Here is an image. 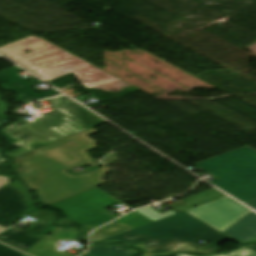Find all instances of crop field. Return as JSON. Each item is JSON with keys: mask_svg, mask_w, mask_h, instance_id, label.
Wrapping results in <instances>:
<instances>
[{"mask_svg": "<svg viewBox=\"0 0 256 256\" xmlns=\"http://www.w3.org/2000/svg\"><path fill=\"white\" fill-rule=\"evenodd\" d=\"M99 132L92 128L14 159L13 168L30 190L36 189L44 206L105 184L103 167L84 175L66 171L95 163L86 151L97 148L88 136Z\"/></svg>", "mask_w": 256, "mask_h": 256, "instance_id": "8a807250", "label": "crop field"}, {"mask_svg": "<svg viewBox=\"0 0 256 256\" xmlns=\"http://www.w3.org/2000/svg\"><path fill=\"white\" fill-rule=\"evenodd\" d=\"M228 239L231 238L184 211L100 242L123 241L145 251L143 256H161L217 253V244ZM200 241L212 244L207 248L195 245Z\"/></svg>", "mask_w": 256, "mask_h": 256, "instance_id": "ac0d7876", "label": "crop field"}, {"mask_svg": "<svg viewBox=\"0 0 256 256\" xmlns=\"http://www.w3.org/2000/svg\"><path fill=\"white\" fill-rule=\"evenodd\" d=\"M56 112L44 115L40 120L27 124L20 120L3 131L18 140L13 145L22 149L9 153L14 158L52 142L75 135L91 127L106 123L65 96L49 99ZM92 129V128H91Z\"/></svg>", "mask_w": 256, "mask_h": 256, "instance_id": "34b2d1b8", "label": "crop field"}, {"mask_svg": "<svg viewBox=\"0 0 256 256\" xmlns=\"http://www.w3.org/2000/svg\"><path fill=\"white\" fill-rule=\"evenodd\" d=\"M220 170L211 172L219 179L210 181L245 202L256 198V151L246 147L202 161Z\"/></svg>", "mask_w": 256, "mask_h": 256, "instance_id": "412701ff", "label": "crop field"}, {"mask_svg": "<svg viewBox=\"0 0 256 256\" xmlns=\"http://www.w3.org/2000/svg\"><path fill=\"white\" fill-rule=\"evenodd\" d=\"M117 202L115 198L95 188L49 205V207L62 210L65 213L67 218L58 220V224L79 223L85 225L81 228L84 231L82 239L87 240L88 232L91 229L117 218L103 210Z\"/></svg>", "mask_w": 256, "mask_h": 256, "instance_id": "f4fd0767", "label": "crop field"}, {"mask_svg": "<svg viewBox=\"0 0 256 256\" xmlns=\"http://www.w3.org/2000/svg\"><path fill=\"white\" fill-rule=\"evenodd\" d=\"M249 211L251 210L227 197L187 212L222 232Z\"/></svg>", "mask_w": 256, "mask_h": 256, "instance_id": "dd49c442", "label": "crop field"}, {"mask_svg": "<svg viewBox=\"0 0 256 256\" xmlns=\"http://www.w3.org/2000/svg\"><path fill=\"white\" fill-rule=\"evenodd\" d=\"M43 221L24 231L16 226L0 234V241L26 252L45 235L32 236L33 233L44 230L54 219L55 215L46 211H36L29 215Z\"/></svg>", "mask_w": 256, "mask_h": 256, "instance_id": "e52e79f7", "label": "crop field"}, {"mask_svg": "<svg viewBox=\"0 0 256 256\" xmlns=\"http://www.w3.org/2000/svg\"><path fill=\"white\" fill-rule=\"evenodd\" d=\"M31 198L21 182L14 180L0 189V216L15 222V219L29 209Z\"/></svg>", "mask_w": 256, "mask_h": 256, "instance_id": "d8731c3e", "label": "crop field"}, {"mask_svg": "<svg viewBox=\"0 0 256 256\" xmlns=\"http://www.w3.org/2000/svg\"><path fill=\"white\" fill-rule=\"evenodd\" d=\"M19 69L21 68L16 66L0 72V80L7 82V84L4 85V88L12 90L18 94V97L16 98L17 102L30 103L61 94L60 92L54 89L45 91L41 94L34 93L32 90L29 89L33 85L14 72Z\"/></svg>", "mask_w": 256, "mask_h": 256, "instance_id": "5a996713", "label": "crop field"}, {"mask_svg": "<svg viewBox=\"0 0 256 256\" xmlns=\"http://www.w3.org/2000/svg\"><path fill=\"white\" fill-rule=\"evenodd\" d=\"M53 236H45L36 245H34L27 253L34 256H73L65 252L56 251V243L63 239H73L79 234L75 228H56Z\"/></svg>", "mask_w": 256, "mask_h": 256, "instance_id": "3316defc", "label": "crop field"}, {"mask_svg": "<svg viewBox=\"0 0 256 256\" xmlns=\"http://www.w3.org/2000/svg\"><path fill=\"white\" fill-rule=\"evenodd\" d=\"M154 221L146 218L145 216L133 212L132 214L116 221L115 223L93 233L92 240L100 241L104 238L152 223Z\"/></svg>", "mask_w": 256, "mask_h": 256, "instance_id": "28ad6ade", "label": "crop field"}, {"mask_svg": "<svg viewBox=\"0 0 256 256\" xmlns=\"http://www.w3.org/2000/svg\"><path fill=\"white\" fill-rule=\"evenodd\" d=\"M223 233L241 244L256 240V214L250 213Z\"/></svg>", "mask_w": 256, "mask_h": 256, "instance_id": "d1516ede", "label": "crop field"}, {"mask_svg": "<svg viewBox=\"0 0 256 256\" xmlns=\"http://www.w3.org/2000/svg\"><path fill=\"white\" fill-rule=\"evenodd\" d=\"M224 197H227V196L225 194H223L222 192L218 191L217 189L213 188L208 191L199 193L197 195H194L187 199L182 200L186 204L181 205L176 208H173V209L178 212H181L184 210L187 211V210H190V209L196 208L198 206L216 201V200L224 198Z\"/></svg>", "mask_w": 256, "mask_h": 256, "instance_id": "22f410ed", "label": "crop field"}, {"mask_svg": "<svg viewBox=\"0 0 256 256\" xmlns=\"http://www.w3.org/2000/svg\"><path fill=\"white\" fill-rule=\"evenodd\" d=\"M133 253L137 252L121 245H113L108 248L93 247L92 250L84 256H129Z\"/></svg>", "mask_w": 256, "mask_h": 256, "instance_id": "cbeb9de0", "label": "crop field"}, {"mask_svg": "<svg viewBox=\"0 0 256 256\" xmlns=\"http://www.w3.org/2000/svg\"><path fill=\"white\" fill-rule=\"evenodd\" d=\"M254 253V251L250 250L249 248L245 247V246H240V249L224 255V254H220V255H212V256H247L249 254ZM176 256H188V255H184V254H180V255H176Z\"/></svg>", "mask_w": 256, "mask_h": 256, "instance_id": "5142ce71", "label": "crop field"}, {"mask_svg": "<svg viewBox=\"0 0 256 256\" xmlns=\"http://www.w3.org/2000/svg\"><path fill=\"white\" fill-rule=\"evenodd\" d=\"M0 256H24V254L0 244Z\"/></svg>", "mask_w": 256, "mask_h": 256, "instance_id": "d9b57169", "label": "crop field"}, {"mask_svg": "<svg viewBox=\"0 0 256 256\" xmlns=\"http://www.w3.org/2000/svg\"><path fill=\"white\" fill-rule=\"evenodd\" d=\"M195 165H197V166H199V167H201V168L207 170L208 172H211V171H214V170H218V169H216V168H214V167H211V166H209V165H206V164H204V163H202V162H199V163H197V164H195Z\"/></svg>", "mask_w": 256, "mask_h": 256, "instance_id": "733c2abd", "label": "crop field"}, {"mask_svg": "<svg viewBox=\"0 0 256 256\" xmlns=\"http://www.w3.org/2000/svg\"><path fill=\"white\" fill-rule=\"evenodd\" d=\"M14 224H15V223H13V222H11V221H8V220L3 219V218L0 217V225H1V226L5 227V228H8V227H10V226H12V225H14Z\"/></svg>", "mask_w": 256, "mask_h": 256, "instance_id": "4a817a6b", "label": "crop field"}, {"mask_svg": "<svg viewBox=\"0 0 256 256\" xmlns=\"http://www.w3.org/2000/svg\"><path fill=\"white\" fill-rule=\"evenodd\" d=\"M11 180L7 177L0 176V188L5 186L7 183H9Z\"/></svg>", "mask_w": 256, "mask_h": 256, "instance_id": "bc2a9ffb", "label": "crop field"}, {"mask_svg": "<svg viewBox=\"0 0 256 256\" xmlns=\"http://www.w3.org/2000/svg\"><path fill=\"white\" fill-rule=\"evenodd\" d=\"M246 204H248L249 206H251L252 208L256 209V200H252L249 202H245Z\"/></svg>", "mask_w": 256, "mask_h": 256, "instance_id": "214f88e0", "label": "crop field"}, {"mask_svg": "<svg viewBox=\"0 0 256 256\" xmlns=\"http://www.w3.org/2000/svg\"><path fill=\"white\" fill-rule=\"evenodd\" d=\"M247 247L251 248L252 250L256 251V243L249 244Z\"/></svg>", "mask_w": 256, "mask_h": 256, "instance_id": "92a150f3", "label": "crop field"}, {"mask_svg": "<svg viewBox=\"0 0 256 256\" xmlns=\"http://www.w3.org/2000/svg\"><path fill=\"white\" fill-rule=\"evenodd\" d=\"M181 204H184V203L181 202V201H179V202H177V203H174V204L169 205V207L173 208V207H176V206L181 205Z\"/></svg>", "mask_w": 256, "mask_h": 256, "instance_id": "dafd665d", "label": "crop field"}, {"mask_svg": "<svg viewBox=\"0 0 256 256\" xmlns=\"http://www.w3.org/2000/svg\"><path fill=\"white\" fill-rule=\"evenodd\" d=\"M5 109H6L5 104H4V103L1 104V105H0V111H5Z\"/></svg>", "mask_w": 256, "mask_h": 256, "instance_id": "00972430", "label": "crop field"}, {"mask_svg": "<svg viewBox=\"0 0 256 256\" xmlns=\"http://www.w3.org/2000/svg\"><path fill=\"white\" fill-rule=\"evenodd\" d=\"M0 153H1V151H0ZM4 162H6V161L3 160V159L0 157V164H1V163H4Z\"/></svg>", "mask_w": 256, "mask_h": 256, "instance_id": "a9b5d70f", "label": "crop field"}, {"mask_svg": "<svg viewBox=\"0 0 256 256\" xmlns=\"http://www.w3.org/2000/svg\"><path fill=\"white\" fill-rule=\"evenodd\" d=\"M4 229H5V228H3V227L0 226V231H2V230H4Z\"/></svg>", "mask_w": 256, "mask_h": 256, "instance_id": "4177f3b9", "label": "crop field"}, {"mask_svg": "<svg viewBox=\"0 0 256 256\" xmlns=\"http://www.w3.org/2000/svg\"><path fill=\"white\" fill-rule=\"evenodd\" d=\"M1 103H3V100H2L1 97H0V104H1Z\"/></svg>", "mask_w": 256, "mask_h": 256, "instance_id": "730fd06b", "label": "crop field"}, {"mask_svg": "<svg viewBox=\"0 0 256 256\" xmlns=\"http://www.w3.org/2000/svg\"><path fill=\"white\" fill-rule=\"evenodd\" d=\"M249 256H256V253L252 254V255H249Z\"/></svg>", "mask_w": 256, "mask_h": 256, "instance_id": "eef30255", "label": "crop field"}, {"mask_svg": "<svg viewBox=\"0 0 256 256\" xmlns=\"http://www.w3.org/2000/svg\"><path fill=\"white\" fill-rule=\"evenodd\" d=\"M25 256H27V255H25Z\"/></svg>", "mask_w": 256, "mask_h": 256, "instance_id": "ae1a2a85", "label": "crop field"}]
</instances>
